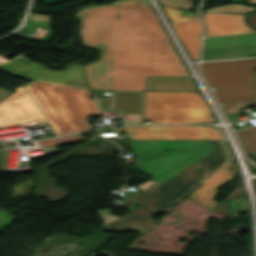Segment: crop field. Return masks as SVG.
<instances>
[{"label":"crop field","mask_w":256,"mask_h":256,"mask_svg":"<svg viewBox=\"0 0 256 256\" xmlns=\"http://www.w3.org/2000/svg\"><path fill=\"white\" fill-rule=\"evenodd\" d=\"M77 18L83 45L101 53L83 67L91 88L144 90L146 76H189L148 2L115 3Z\"/></svg>","instance_id":"crop-field-1"},{"label":"crop field","mask_w":256,"mask_h":256,"mask_svg":"<svg viewBox=\"0 0 256 256\" xmlns=\"http://www.w3.org/2000/svg\"><path fill=\"white\" fill-rule=\"evenodd\" d=\"M39 109L58 135L90 128L85 118L99 115L89 90L34 81L26 85Z\"/></svg>","instance_id":"crop-field-2"},{"label":"crop field","mask_w":256,"mask_h":256,"mask_svg":"<svg viewBox=\"0 0 256 256\" xmlns=\"http://www.w3.org/2000/svg\"><path fill=\"white\" fill-rule=\"evenodd\" d=\"M210 143L215 150L214 152L176 174L164 183L147 181L139 186L137 185V188L143 191L123 199L156 208L164 212L175 207L188 194L197 188L200 182L207 179L230 159L223 142L211 141ZM216 156L218 157L205 164L203 178L200 180L204 163Z\"/></svg>","instance_id":"crop-field-3"},{"label":"crop field","mask_w":256,"mask_h":256,"mask_svg":"<svg viewBox=\"0 0 256 256\" xmlns=\"http://www.w3.org/2000/svg\"><path fill=\"white\" fill-rule=\"evenodd\" d=\"M145 119L151 123L214 122L197 92L145 91Z\"/></svg>","instance_id":"crop-field-4"},{"label":"crop field","mask_w":256,"mask_h":256,"mask_svg":"<svg viewBox=\"0 0 256 256\" xmlns=\"http://www.w3.org/2000/svg\"><path fill=\"white\" fill-rule=\"evenodd\" d=\"M256 59L202 63L201 69L219 104L256 96Z\"/></svg>","instance_id":"crop-field-5"},{"label":"crop field","mask_w":256,"mask_h":256,"mask_svg":"<svg viewBox=\"0 0 256 256\" xmlns=\"http://www.w3.org/2000/svg\"><path fill=\"white\" fill-rule=\"evenodd\" d=\"M133 153L154 149H185L186 152L145 162L139 170L164 182L214 151L207 140H129Z\"/></svg>","instance_id":"crop-field-6"},{"label":"crop field","mask_w":256,"mask_h":256,"mask_svg":"<svg viewBox=\"0 0 256 256\" xmlns=\"http://www.w3.org/2000/svg\"><path fill=\"white\" fill-rule=\"evenodd\" d=\"M0 68L14 75L25 71L26 73L20 74L19 76L26 78L90 88L81 67L75 64H72L62 72H54L21 56L15 60L0 65Z\"/></svg>","instance_id":"crop-field-7"},{"label":"crop field","mask_w":256,"mask_h":256,"mask_svg":"<svg viewBox=\"0 0 256 256\" xmlns=\"http://www.w3.org/2000/svg\"><path fill=\"white\" fill-rule=\"evenodd\" d=\"M130 139H221L214 126H122Z\"/></svg>","instance_id":"crop-field-8"},{"label":"crop field","mask_w":256,"mask_h":256,"mask_svg":"<svg viewBox=\"0 0 256 256\" xmlns=\"http://www.w3.org/2000/svg\"><path fill=\"white\" fill-rule=\"evenodd\" d=\"M17 90L0 103V128L45 120L23 85Z\"/></svg>","instance_id":"crop-field-9"},{"label":"crop field","mask_w":256,"mask_h":256,"mask_svg":"<svg viewBox=\"0 0 256 256\" xmlns=\"http://www.w3.org/2000/svg\"><path fill=\"white\" fill-rule=\"evenodd\" d=\"M167 18L171 19V24L187 47L193 60L198 58L200 48V38L202 32V24L200 23L197 14L163 6L161 5Z\"/></svg>","instance_id":"crop-field-10"},{"label":"crop field","mask_w":256,"mask_h":256,"mask_svg":"<svg viewBox=\"0 0 256 256\" xmlns=\"http://www.w3.org/2000/svg\"><path fill=\"white\" fill-rule=\"evenodd\" d=\"M143 99L144 91H111V95L107 98L96 100L101 110H117L123 113L127 124H134L142 122Z\"/></svg>","instance_id":"crop-field-11"},{"label":"crop field","mask_w":256,"mask_h":256,"mask_svg":"<svg viewBox=\"0 0 256 256\" xmlns=\"http://www.w3.org/2000/svg\"><path fill=\"white\" fill-rule=\"evenodd\" d=\"M160 212L153 211L147 208H139L131 213H128L122 217L111 215L109 210L98 211L100 218L104 221V224L100 231H123L131 230L136 232L145 233L149 230L157 221L152 220L150 216ZM132 223L140 226L139 229L130 228Z\"/></svg>","instance_id":"crop-field-12"},{"label":"crop field","mask_w":256,"mask_h":256,"mask_svg":"<svg viewBox=\"0 0 256 256\" xmlns=\"http://www.w3.org/2000/svg\"><path fill=\"white\" fill-rule=\"evenodd\" d=\"M229 166H232L234 170L229 171L227 170ZM237 172L231 159L226 162L221 168H219L213 175H211L206 181L203 182L202 186L198 188L195 192H193L187 198L211 209L215 210L216 207L219 205L212 201L213 198L219 192L215 191L223 184L231 180L235 177L232 175L233 173Z\"/></svg>","instance_id":"crop-field-13"},{"label":"crop field","mask_w":256,"mask_h":256,"mask_svg":"<svg viewBox=\"0 0 256 256\" xmlns=\"http://www.w3.org/2000/svg\"><path fill=\"white\" fill-rule=\"evenodd\" d=\"M207 24L206 37L256 32L244 22L242 14L203 13Z\"/></svg>","instance_id":"crop-field-14"},{"label":"crop field","mask_w":256,"mask_h":256,"mask_svg":"<svg viewBox=\"0 0 256 256\" xmlns=\"http://www.w3.org/2000/svg\"><path fill=\"white\" fill-rule=\"evenodd\" d=\"M145 90L197 91L191 77H147Z\"/></svg>","instance_id":"crop-field-15"},{"label":"crop field","mask_w":256,"mask_h":256,"mask_svg":"<svg viewBox=\"0 0 256 256\" xmlns=\"http://www.w3.org/2000/svg\"><path fill=\"white\" fill-rule=\"evenodd\" d=\"M256 55V44L204 49L203 60H215Z\"/></svg>","instance_id":"crop-field-16"},{"label":"crop field","mask_w":256,"mask_h":256,"mask_svg":"<svg viewBox=\"0 0 256 256\" xmlns=\"http://www.w3.org/2000/svg\"><path fill=\"white\" fill-rule=\"evenodd\" d=\"M256 33L205 38L204 48L254 44Z\"/></svg>","instance_id":"crop-field-17"},{"label":"crop field","mask_w":256,"mask_h":256,"mask_svg":"<svg viewBox=\"0 0 256 256\" xmlns=\"http://www.w3.org/2000/svg\"><path fill=\"white\" fill-rule=\"evenodd\" d=\"M243 146L256 159V127L237 132Z\"/></svg>","instance_id":"crop-field-18"},{"label":"crop field","mask_w":256,"mask_h":256,"mask_svg":"<svg viewBox=\"0 0 256 256\" xmlns=\"http://www.w3.org/2000/svg\"><path fill=\"white\" fill-rule=\"evenodd\" d=\"M256 10V7L245 6L242 4H233L227 6H221L217 8L210 9L206 12L214 13H248L249 11Z\"/></svg>","instance_id":"crop-field-19"},{"label":"crop field","mask_w":256,"mask_h":256,"mask_svg":"<svg viewBox=\"0 0 256 256\" xmlns=\"http://www.w3.org/2000/svg\"><path fill=\"white\" fill-rule=\"evenodd\" d=\"M256 104V98L248 99V100H243L227 105H223L222 108L224 111L229 115V114H237L241 113V107L248 106V105H253Z\"/></svg>","instance_id":"crop-field-20"},{"label":"crop field","mask_w":256,"mask_h":256,"mask_svg":"<svg viewBox=\"0 0 256 256\" xmlns=\"http://www.w3.org/2000/svg\"><path fill=\"white\" fill-rule=\"evenodd\" d=\"M81 140H83V138L80 134H78V135H74V136L46 140V141H42V142H38V143H39L40 148H42V147L63 144V143H69V142H75V141H81Z\"/></svg>","instance_id":"crop-field-21"},{"label":"crop field","mask_w":256,"mask_h":256,"mask_svg":"<svg viewBox=\"0 0 256 256\" xmlns=\"http://www.w3.org/2000/svg\"><path fill=\"white\" fill-rule=\"evenodd\" d=\"M228 206L232 215L249 211L247 202L241 198L228 201Z\"/></svg>","instance_id":"crop-field-22"},{"label":"crop field","mask_w":256,"mask_h":256,"mask_svg":"<svg viewBox=\"0 0 256 256\" xmlns=\"http://www.w3.org/2000/svg\"><path fill=\"white\" fill-rule=\"evenodd\" d=\"M161 4L188 10L194 1L191 0H159Z\"/></svg>","instance_id":"crop-field-23"},{"label":"crop field","mask_w":256,"mask_h":256,"mask_svg":"<svg viewBox=\"0 0 256 256\" xmlns=\"http://www.w3.org/2000/svg\"><path fill=\"white\" fill-rule=\"evenodd\" d=\"M8 151H0V171L4 172H18L17 170L5 169Z\"/></svg>","instance_id":"crop-field-24"},{"label":"crop field","mask_w":256,"mask_h":256,"mask_svg":"<svg viewBox=\"0 0 256 256\" xmlns=\"http://www.w3.org/2000/svg\"><path fill=\"white\" fill-rule=\"evenodd\" d=\"M14 219L15 218L0 210V227L11 224Z\"/></svg>","instance_id":"crop-field-25"},{"label":"crop field","mask_w":256,"mask_h":256,"mask_svg":"<svg viewBox=\"0 0 256 256\" xmlns=\"http://www.w3.org/2000/svg\"><path fill=\"white\" fill-rule=\"evenodd\" d=\"M12 144H15L14 140H8V141H1L0 142L1 148L12 145Z\"/></svg>","instance_id":"crop-field-26"},{"label":"crop field","mask_w":256,"mask_h":256,"mask_svg":"<svg viewBox=\"0 0 256 256\" xmlns=\"http://www.w3.org/2000/svg\"><path fill=\"white\" fill-rule=\"evenodd\" d=\"M98 8H101V7H90V8H88V9H85V10H83V11L78 12V13L76 14V16L82 15V14H84V13L93 11V10L98 9Z\"/></svg>","instance_id":"crop-field-27"},{"label":"crop field","mask_w":256,"mask_h":256,"mask_svg":"<svg viewBox=\"0 0 256 256\" xmlns=\"http://www.w3.org/2000/svg\"><path fill=\"white\" fill-rule=\"evenodd\" d=\"M38 1H42L45 4H48V5H53V4L59 3V2L64 1V0H38Z\"/></svg>","instance_id":"crop-field-28"},{"label":"crop field","mask_w":256,"mask_h":256,"mask_svg":"<svg viewBox=\"0 0 256 256\" xmlns=\"http://www.w3.org/2000/svg\"><path fill=\"white\" fill-rule=\"evenodd\" d=\"M248 18L250 23L256 27V14H250Z\"/></svg>","instance_id":"crop-field-29"},{"label":"crop field","mask_w":256,"mask_h":256,"mask_svg":"<svg viewBox=\"0 0 256 256\" xmlns=\"http://www.w3.org/2000/svg\"><path fill=\"white\" fill-rule=\"evenodd\" d=\"M133 1H147V0H121L116 2H133Z\"/></svg>","instance_id":"crop-field-30"},{"label":"crop field","mask_w":256,"mask_h":256,"mask_svg":"<svg viewBox=\"0 0 256 256\" xmlns=\"http://www.w3.org/2000/svg\"><path fill=\"white\" fill-rule=\"evenodd\" d=\"M248 3L256 4V0H247Z\"/></svg>","instance_id":"crop-field-31"}]
</instances>
